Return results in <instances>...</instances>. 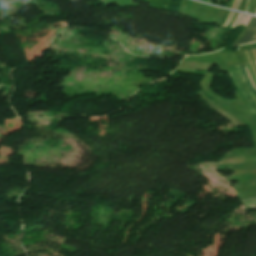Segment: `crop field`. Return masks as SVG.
I'll return each instance as SVG.
<instances>
[{
	"mask_svg": "<svg viewBox=\"0 0 256 256\" xmlns=\"http://www.w3.org/2000/svg\"><path fill=\"white\" fill-rule=\"evenodd\" d=\"M229 73L248 109L252 112H256V98L248 87L240 66L234 67Z\"/></svg>",
	"mask_w": 256,
	"mask_h": 256,
	"instance_id": "8a807250",
	"label": "crop field"
},
{
	"mask_svg": "<svg viewBox=\"0 0 256 256\" xmlns=\"http://www.w3.org/2000/svg\"><path fill=\"white\" fill-rule=\"evenodd\" d=\"M256 38V17L252 16L247 27L243 30L235 44L251 43Z\"/></svg>",
	"mask_w": 256,
	"mask_h": 256,
	"instance_id": "ac0d7876",
	"label": "crop field"
},
{
	"mask_svg": "<svg viewBox=\"0 0 256 256\" xmlns=\"http://www.w3.org/2000/svg\"><path fill=\"white\" fill-rule=\"evenodd\" d=\"M242 17H243V14H242V16L240 17L239 21L241 20ZM245 17H246V15H244V17L242 18V20L240 21V23H239V21H238V23H239V24L237 23L238 26L241 25V23L243 22V20L245 19ZM247 18H248V15H247L246 19H247ZM250 18H251V16H249V18L247 19V21H246V19L244 20V22H245V21H246V22H245V24H244V22L242 23V25L244 24L243 27L246 26V24L248 23V21H249ZM237 24L235 25V27L237 26ZM238 26H237V27H238ZM235 27H234V28H235ZM237 27H236V28H237ZM236 28H235V29H236Z\"/></svg>",
	"mask_w": 256,
	"mask_h": 256,
	"instance_id": "34b2d1b8",
	"label": "crop field"
},
{
	"mask_svg": "<svg viewBox=\"0 0 256 256\" xmlns=\"http://www.w3.org/2000/svg\"><path fill=\"white\" fill-rule=\"evenodd\" d=\"M241 202L243 204H245L246 206H249V205H252V204H256V198L248 199V200H242Z\"/></svg>",
	"mask_w": 256,
	"mask_h": 256,
	"instance_id": "412701ff",
	"label": "crop field"
},
{
	"mask_svg": "<svg viewBox=\"0 0 256 256\" xmlns=\"http://www.w3.org/2000/svg\"><path fill=\"white\" fill-rule=\"evenodd\" d=\"M233 14H234V12L231 11L230 14H229V16H228V18L226 19V21H225L224 24L222 25V27H226V26L229 24V22H230V20H231V18H232V16H233Z\"/></svg>",
	"mask_w": 256,
	"mask_h": 256,
	"instance_id": "f4fd0767",
	"label": "crop field"
},
{
	"mask_svg": "<svg viewBox=\"0 0 256 256\" xmlns=\"http://www.w3.org/2000/svg\"><path fill=\"white\" fill-rule=\"evenodd\" d=\"M245 71H246V73H247V75H248V77H249V79H250V81H251V83H252L254 89L256 90V85L254 84V82H253V80H252V78H251V76H250V73H249L247 67H245Z\"/></svg>",
	"mask_w": 256,
	"mask_h": 256,
	"instance_id": "dd49c442",
	"label": "crop field"
},
{
	"mask_svg": "<svg viewBox=\"0 0 256 256\" xmlns=\"http://www.w3.org/2000/svg\"><path fill=\"white\" fill-rule=\"evenodd\" d=\"M241 67H242V66H241ZM243 67H244V66H243ZM243 67H242V70H243V73H244V75H245L246 81H247L248 85L250 86V88L253 90V88H252V86H251V84H250V82H249V80H248V78H247V76H246V73H245ZM253 92H254V94H256V92H255L254 90H253Z\"/></svg>",
	"mask_w": 256,
	"mask_h": 256,
	"instance_id": "e52e79f7",
	"label": "crop field"
},
{
	"mask_svg": "<svg viewBox=\"0 0 256 256\" xmlns=\"http://www.w3.org/2000/svg\"><path fill=\"white\" fill-rule=\"evenodd\" d=\"M237 2H238V0L235 1L234 5H233V7H232L233 9L235 8ZM240 2H241V0L239 1L238 5L240 4ZM238 5H237V7H238ZM237 7H236V9H237Z\"/></svg>",
	"mask_w": 256,
	"mask_h": 256,
	"instance_id": "d8731c3e",
	"label": "crop field"
},
{
	"mask_svg": "<svg viewBox=\"0 0 256 256\" xmlns=\"http://www.w3.org/2000/svg\"><path fill=\"white\" fill-rule=\"evenodd\" d=\"M250 207H254V208H256V205H253V206H250Z\"/></svg>",
	"mask_w": 256,
	"mask_h": 256,
	"instance_id": "5a996713",
	"label": "crop field"
},
{
	"mask_svg": "<svg viewBox=\"0 0 256 256\" xmlns=\"http://www.w3.org/2000/svg\"><path fill=\"white\" fill-rule=\"evenodd\" d=\"M207 2L211 3V1H210V0H207Z\"/></svg>",
	"mask_w": 256,
	"mask_h": 256,
	"instance_id": "3316defc",
	"label": "crop field"
}]
</instances>
